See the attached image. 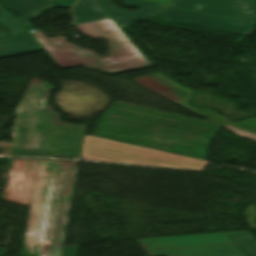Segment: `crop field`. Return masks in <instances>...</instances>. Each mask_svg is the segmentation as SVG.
<instances>
[{
  "label": "crop field",
  "instance_id": "obj_8",
  "mask_svg": "<svg viewBox=\"0 0 256 256\" xmlns=\"http://www.w3.org/2000/svg\"><path fill=\"white\" fill-rule=\"evenodd\" d=\"M5 5L13 9L19 15V20L28 30L35 29L29 21L38 18L43 12L51 8L66 7L69 8L75 0H2Z\"/></svg>",
  "mask_w": 256,
  "mask_h": 256
},
{
  "label": "crop field",
  "instance_id": "obj_5",
  "mask_svg": "<svg viewBox=\"0 0 256 256\" xmlns=\"http://www.w3.org/2000/svg\"><path fill=\"white\" fill-rule=\"evenodd\" d=\"M148 256H243L224 233L137 240Z\"/></svg>",
  "mask_w": 256,
  "mask_h": 256
},
{
  "label": "crop field",
  "instance_id": "obj_9",
  "mask_svg": "<svg viewBox=\"0 0 256 256\" xmlns=\"http://www.w3.org/2000/svg\"><path fill=\"white\" fill-rule=\"evenodd\" d=\"M102 6L109 12V14L115 19L118 25L122 28L132 24L133 22L141 19L156 9L162 7V5L148 3L139 0H121L125 6L139 7L140 10L136 12H128L114 7L108 0H98Z\"/></svg>",
  "mask_w": 256,
  "mask_h": 256
},
{
  "label": "crop field",
  "instance_id": "obj_14",
  "mask_svg": "<svg viewBox=\"0 0 256 256\" xmlns=\"http://www.w3.org/2000/svg\"><path fill=\"white\" fill-rule=\"evenodd\" d=\"M185 108L209 119L210 121H213L215 124L219 125V126H222V125H225V124H231V125H235V126H238V127H241L243 129H246V130H249L251 132H254L256 133V118H252V119H248V120H244V121H241V122H237V123H234V122H231L230 120H228L227 118L211 111V110H206L202 113L194 110V109H191L187 106H184Z\"/></svg>",
  "mask_w": 256,
  "mask_h": 256
},
{
  "label": "crop field",
  "instance_id": "obj_15",
  "mask_svg": "<svg viewBox=\"0 0 256 256\" xmlns=\"http://www.w3.org/2000/svg\"><path fill=\"white\" fill-rule=\"evenodd\" d=\"M35 39L42 45V47L44 49L47 50V52H49V50L51 49V47L53 46V44L55 43V41L57 40L56 39H50V40H47L43 34L41 32H38V33H33L32 34Z\"/></svg>",
  "mask_w": 256,
  "mask_h": 256
},
{
  "label": "crop field",
  "instance_id": "obj_1",
  "mask_svg": "<svg viewBox=\"0 0 256 256\" xmlns=\"http://www.w3.org/2000/svg\"><path fill=\"white\" fill-rule=\"evenodd\" d=\"M10 159L5 200L31 207L22 254L61 256L67 200L79 162ZM53 165L51 172L49 166ZM65 170V179L57 177Z\"/></svg>",
  "mask_w": 256,
  "mask_h": 256
},
{
  "label": "crop field",
  "instance_id": "obj_17",
  "mask_svg": "<svg viewBox=\"0 0 256 256\" xmlns=\"http://www.w3.org/2000/svg\"><path fill=\"white\" fill-rule=\"evenodd\" d=\"M224 127L228 128V129H230V130H232V131H234V132H236V133H238L242 136H245V137L256 140V134H253V133H250V132H247V131H244V130H241V129H238V128H235V127H232V126H229V125H226Z\"/></svg>",
  "mask_w": 256,
  "mask_h": 256
},
{
  "label": "crop field",
  "instance_id": "obj_3",
  "mask_svg": "<svg viewBox=\"0 0 256 256\" xmlns=\"http://www.w3.org/2000/svg\"><path fill=\"white\" fill-rule=\"evenodd\" d=\"M76 27L87 36L107 40L108 57L100 58L94 52L66 43L60 37L49 53L61 68L83 64L114 74L151 66L111 19Z\"/></svg>",
  "mask_w": 256,
  "mask_h": 256
},
{
  "label": "crop field",
  "instance_id": "obj_12",
  "mask_svg": "<svg viewBox=\"0 0 256 256\" xmlns=\"http://www.w3.org/2000/svg\"><path fill=\"white\" fill-rule=\"evenodd\" d=\"M28 33L0 3V38Z\"/></svg>",
  "mask_w": 256,
  "mask_h": 256
},
{
  "label": "crop field",
  "instance_id": "obj_6",
  "mask_svg": "<svg viewBox=\"0 0 256 256\" xmlns=\"http://www.w3.org/2000/svg\"><path fill=\"white\" fill-rule=\"evenodd\" d=\"M149 1V0H146ZM162 4L256 24V0H152ZM239 1V2H236ZM243 1H246L243 3ZM203 4V7H198ZM246 7L245 9L242 7ZM196 7L200 8L199 10ZM244 12H247L246 14Z\"/></svg>",
  "mask_w": 256,
  "mask_h": 256
},
{
  "label": "crop field",
  "instance_id": "obj_10",
  "mask_svg": "<svg viewBox=\"0 0 256 256\" xmlns=\"http://www.w3.org/2000/svg\"><path fill=\"white\" fill-rule=\"evenodd\" d=\"M30 34L0 39V57L40 51Z\"/></svg>",
  "mask_w": 256,
  "mask_h": 256
},
{
  "label": "crop field",
  "instance_id": "obj_7",
  "mask_svg": "<svg viewBox=\"0 0 256 256\" xmlns=\"http://www.w3.org/2000/svg\"><path fill=\"white\" fill-rule=\"evenodd\" d=\"M166 9V11H164ZM160 17L180 20L184 22L194 23L198 25L208 26L230 32L247 35L253 32L256 25L244 23L240 21L215 17L211 15L181 10L177 8L164 6L157 11L151 13Z\"/></svg>",
  "mask_w": 256,
  "mask_h": 256
},
{
  "label": "crop field",
  "instance_id": "obj_2",
  "mask_svg": "<svg viewBox=\"0 0 256 256\" xmlns=\"http://www.w3.org/2000/svg\"><path fill=\"white\" fill-rule=\"evenodd\" d=\"M50 89L30 83L16 112L14 141L7 155L80 159L85 126L59 121L47 106Z\"/></svg>",
  "mask_w": 256,
  "mask_h": 256
},
{
  "label": "crop field",
  "instance_id": "obj_13",
  "mask_svg": "<svg viewBox=\"0 0 256 256\" xmlns=\"http://www.w3.org/2000/svg\"><path fill=\"white\" fill-rule=\"evenodd\" d=\"M244 256H256V240L248 231L225 233Z\"/></svg>",
  "mask_w": 256,
  "mask_h": 256
},
{
  "label": "crop field",
  "instance_id": "obj_11",
  "mask_svg": "<svg viewBox=\"0 0 256 256\" xmlns=\"http://www.w3.org/2000/svg\"><path fill=\"white\" fill-rule=\"evenodd\" d=\"M73 12L76 15L75 24L109 17L96 0H79Z\"/></svg>",
  "mask_w": 256,
  "mask_h": 256
},
{
  "label": "crop field",
  "instance_id": "obj_4",
  "mask_svg": "<svg viewBox=\"0 0 256 256\" xmlns=\"http://www.w3.org/2000/svg\"><path fill=\"white\" fill-rule=\"evenodd\" d=\"M81 155L100 160L183 169H200L207 161L85 135Z\"/></svg>",
  "mask_w": 256,
  "mask_h": 256
},
{
  "label": "crop field",
  "instance_id": "obj_16",
  "mask_svg": "<svg viewBox=\"0 0 256 256\" xmlns=\"http://www.w3.org/2000/svg\"><path fill=\"white\" fill-rule=\"evenodd\" d=\"M78 246L79 244L65 246L62 256H77Z\"/></svg>",
  "mask_w": 256,
  "mask_h": 256
}]
</instances>
